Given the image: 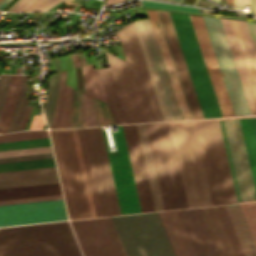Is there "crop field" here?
Instances as JSON below:
<instances>
[{
  "label": "crop field",
  "mask_w": 256,
  "mask_h": 256,
  "mask_svg": "<svg viewBox=\"0 0 256 256\" xmlns=\"http://www.w3.org/2000/svg\"><path fill=\"white\" fill-rule=\"evenodd\" d=\"M62 219H67L62 199L0 206V226Z\"/></svg>",
  "instance_id": "crop-field-13"
},
{
  "label": "crop field",
  "mask_w": 256,
  "mask_h": 256,
  "mask_svg": "<svg viewBox=\"0 0 256 256\" xmlns=\"http://www.w3.org/2000/svg\"><path fill=\"white\" fill-rule=\"evenodd\" d=\"M15 76L16 75H11V77H10L8 93H7L4 108H3V111H2V114H1V117H0V131H1V127H2V124H3V121H4L6 111L8 109L9 103H10L11 95H12V92H13V89H14Z\"/></svg>",
  "instance_id": "crop-field-43"
},
{
  "label": "crop field",
  "mask_w": 256,
  "mask_h": 256,
  "mask_svg": "<svg viewBox=\"0 0 256 256\" xmlns=\"http://www.w3.org/2000/svg\"><path fill=\"white\" fill-rule=\"evenodd\" d=\"M256 0H250V13L255 15Z\"/></svg>",
  "instance_id": "crop-field-53"
},
{
  "label": "crop field",
  "mask_w": 256,
  "mask_h": 256,
  "mask_svg": "<svg viewBox=\"0 0 256 256\" xmlns=\"http://www.w3.org/2000/svg\"><path fill=\"white\" fill-rule=\"evenodd\" d=\"M59 82H60V72L50 76L47 99L43 109L49 127H50L51 119H52L54 108H55L56 97L59 89Z\"/></svg>",
  "instance_id": "crop-field-25"
},
{
  "label": "crop field",
  "mask_w": 256,
  "mask_h": 256,
  "mask_svg": "<svg viewBox=\"0 0 256 256\" xmlns=\"http://www.w3.org/2000/svg\"><path fill=\"white\" fill-rule=\"evenodd\" d=\"M218 256H235L215 206L199 208Z\"/></svg>",
  "instance_id": "crop-field-18"
},
{
  "label": "crop field",
  "mask_w": 256,
  "mask_h": 256,
  "mask_svg": "<svg viewBox=\"0 0 256 256\" xmlns=\"http://www.w3.org/2000/svg\"><path fill=\"white\" fill-rule=\"evenodd\" d=\"M256 245V202L239 204ZM238 204L225 205L245 256H256V247Z\"/></svg>",
  "instance_id": "crop-field-16"
},
{
  "label": "crop field",
  "mask_w": 256,
  "mask_h": 256,
  "mask_svg": "<svg viewBox=\"0 0 256 256\" xmlns=\"http://www.w3.org/2000/svg\"><path fill=\"white\" fill-rule=\"evenodd\" d=\"M115 34L127 62L105 53L127 122L163 121L133 24Z\"/></svg>",
  "instance_id": "crop-field-3"
},
{
  "label": "crop field",
  "mask_w": 256,
  "mask_h": 256,
  "mask_svg": "<svg viewBox=\"0 0 256 256\" xmlns=\"http://www.w3.org/2000/svg\"><path fill=\"white\" fill-rule=\"evenodd\" d=\"M21 80H22V76L17 75L12 101H11L10 107L7 111L5 122H4L3 129H2L1 133L8 131V127H9V124H10V121H11V118L13 115V111H14V108H15V105H16V102L18 99L19 90H20V86H21Z\"/></svg>",
  "instance_id": "crop-field-36"
},
{
  "label": "crop field",
  "mask_w": 256,
  "mask_h": 256,
  "mask_svg": "<svg viewBox=\"0 0 256 256\" xmlns=\"http://www.w3.org/2000/svg\"><path fill=\"white\" fill-rule=\"evenodd\" d=\"M220 20H221V23H222V26H223V29H224V32H225V35H226L233 59H234L235 65H236V68H237V71H238L248 104H249V107L251 110V113L256 114V101H255V98H254V95L252 92V88H251V85H250V82H249V79H248V76H247L241 55H240V52H239V49L237 46V42H236L233 30H232L230 21L224 20V19H220Z\"/></svg>",
  "instance_id": "crop-field-20"
},
{
  "label": "crop field",
  "mask_w": 256,
  "mask_h": 256,
  "mask_svg": "<svg viewBox=\"0 0 256 256\" xmlns=\"http://www.w3.org/2000/svg\"><path fill=\"white\" fill-rule=\"evenodd\" d=\"M31 108H32L31 106H28V107H27V110H26V113H25V116H24V119H23V122H22V124H21V127H20V130H19V131H22V130L25 129L26 122H27V120H28V118H29V116H30Z\"/></svg>",
  "instance_id": "crop-field-50"
},
{
  "label": "crop field",
  "mask_w": 256,
  "mask_h": 256,
  "mask_svg": "<svg viewBox=\"0 0 256 256\" xmlns=\"http://www.w3.org/2000/svg\"><path fill=\"white\" fill-rule=\"evenodd\" d=\"M236 256H244L224 205L216 206Z\"/></svg>",
  "instance_id": "crop-field-27"
},
{
  "label": "crop field",
  "mask_w": 256,
  "mask_h": 256,
  "mask_svg": "<svg viewBox=\"0 0 256 256\" xmlns=\"http://www.w3.org/2000/svg\"><path fill=\"white\" fill-rule=\"evenodd\" d=\"M44 124L43 116H34L29 129H42Z\"/></svg>",
  "instance_id": "crop-field-48"
},
{
  "label": "crop field",
  "mask_w": 256,
  "mask_h": 256,
  "mask_svg": "<svg viewBox=\"0 0 256 256\" xmlns=\"http://www.w3.org/2000/svg\"><path fill=\"white\" fill-rule=\"evenodd\" d=\"M126 1V0H125Z\"/></svg>",
  "instance_id": "crop-field-66"
},
{
  "label": "crop field",
  "mask_w": 256,
  "mask_h": 256,
  "mask_svg": "<svg viewBox=\"0 0 256 256\" xmlns=\"http://www.w3.org/2000/svg\"><path fill=\"white\" fill-rule=\"evenodd\" d=\"M155 211L164 210L144 124L136 125Z\"/></svg>",
  "instance_id": "crop-field-21"
},
{
  "label": "crop field",
  "mask_w": 256,
  "mask_h": 256,
  "mask_svg": "<svg viewBox=\"0 0 256 256\" xmlns=\"http://www.w3.org/2000/svg\"><path fill=\"white\" fill-rule=\"evenodd\" d=\"M33 1H35V0H30L29 2H27L18 12H22L29 4H31Z\"/></svg>",
  "instance_id": "crop-field-56"
},
{
  "label": "crop field",
  "mask_w": 256,
  "mask_h": 256,
  "mask_svg": "<svg viewBox=\"0 0 256 256\" xmlns=\"http://www.w3.org/2000/svg\"><path fill=\"white\" fill-rule=\"evenodd\" d=\"M9 2H10V0H5V1L0 5V10H2Z\"/></svg>",
  "instance_id": "crop-field-57"
},
{
  "label": "crop field",
  "mask_w": 256,
  "mask_h": 256,
  "mask_svg": "<svg viewBox=\"0 0 256 256\" xmlns=\"http://www.w3.org/2000/svg\"><path fill=\"white\" fill-rule=\"evenodd\" d=\"M140 2L142 6H156V7H164V8L185 10V11H198V8H194V7H187V6H180V5H173V4L152 2V1H140Z\"/></svg>",
  "instance_id": "crop-field-39"
},
{
  "label": "crop field",
  "mask_w": 256,
  "mask_h": 256,
  "mask_svg": "<svg viewBox=\"0 0 256 256\" xmlns=\"http://www.w3.org/2000/svg\"><path fill=\"white\" fill-rule=\"evenodd\" d=\"M102 216L120 214L100 127L83 128Z\"/></svg>",
  "instance_id": "crop-field-11"
},
{
  "label": "crop field",
  "mask_w": 256,
  "mask_h": 256,
  "mask_svg": "<svg viewBox=\"0 0 256 256\" xmlns=\"http://www.w3.org/2000/svg\"><path fill=\"white\" fill-rule=\"evenodd\" d=\"M230 21H231V24H232V27H233V30H234V33H235L242 57H243V60H244L245 66H246V69H247L255 96H256V74H255L245 41H244V37H243L242 31H241L239 22L234 21V20H230Z\"/></svg>",
  "instance_id": "crop-field-24"
},
{
  "label": "crop field",
  "mask_w": 256,
  "mask_h": 256,
  "mask_svg": "<svg viewBox=\"0 0 256 256\" xmlns=\"http://www.w3.org/2000/svg\"><path fill=\"white\" fill-rule=\"evenodd\" d=\"M214 1H216V2H218V3H219V0H214Z\"/></svg>",
  "instance_id": "crop-field-65"
},
{
  "label": "crop field",
  "mask_w": 256,
  "mask_h": 256,
  "mask_svg": "<svg viewBox=\"0 0 256 256\" xmlns=\"http://www.w3.org/2000/svg\"><path fill=\"white\" fill-rule=\"evenodd\" d=\"M17 0H12L3 10L4 11H7L8 10V8L13 4V3H15Z\"/></svg>",
  "instance_id": "crop-field-58"
},
{
  "label": "crop field",
  "mask_w": 256,
  "mask_h": 256,
  "mask_svg": "<svg viewBox=\"0 0 256 256\" xmlns=\"http://www.w3.org/2000/svg\"><path fill=\"white\" fill-rule=\"evenodd\" d=\"M10 73H12V74L15 73V66H11V72Z\"/></svg>",
  "instance_id": "crop-field-63"
},
{
  "label": "crop field",
  "mask_w": 256,
  "mask_h": 256,
  "mask_svg": "<svg viewBox=\"0 0 256 256\" xmlns=\"http://www.w3.org/2000/svg\"><path fill=\"white\" fill-rule=\"evenodd\" d=\"M50 133L70 219L96 217L76 129Z\"/></svg>",
  "instance_id": "crop-field-5"
},
{
  "label": "crop field",
  "mask_w": 256,
  "mask_h": 256,
  "mask_svg": "<svg viewBox=\"0 0 256 256\" xmlns=\"http://www.w3.org/2000/svg\"><path fill=\"white\" fill-rule=\"evenodd\" d=\"M163 1H171V2H179V3L183 2V0H163Z\"/></svg>",
  "instance_id": "crop-field-61"
},
{
  "label": "crop field",
  "mask_w": 256,
  "mask_h": 256,
  "mask_svg": "<svg viewBox=\"0 0 256 256\" xmlns=\"http://www.w3.org/2000/svg\"><path fill=\"white\" fill-rule=\"evenodd\" d=\"M9 77L10 75H1L0 76V113L3 108L7 88H8V83H9Z\"/></svg>",
  "instance_id": "crop-field-44"
},
{
  "label": "crop field",
  "mask_w": 256,
  "mask_h": 256,
  "mask_svg": "<svg viewBox=\"0 0 256 256\" xmlns=\"http://www.w3.org/2000/svg\"><path fill=\"white\" fill-rule=\"evenodd\" d=\"M170 16L196 90L203 117H229L235 115L238 116L251 114L220 20L216 18L202 17L235 115L228 94L226 92L202 18L189 15L222 116L214 92L212 90L188 16L184 14L173 13H170Z\"/></svg>",
  "instance_id": "crop-field-1"
},
{
  "label": "crop field",
  "mask_w": 256,
  "mask_h": 256,
  "mask_svg": "<svg viewBox=\"0 0 256 256\" xmlns=\"http://www.w3.org/2000/svg\"><path fill=\"white\" fill-rule=\"evenodd\" d=\"M246 23H247V26L256 50V23H253V22H246Z\"/></svg>",
  "instance_id": "crop-field-49"
},
{
  "label": "crop field",
  "mask_w": 256,
  "mask_h": 256,
  "mask_svg": "<svg viewBox=\"0 0 256 256\" xmlns=\"http://www.w3.org/2000/svg\"><path fill=\"white\" fill-rule=\"evenodd\" d=\"M58 198H62V196L61 195H56V196L26 198V199L5 200V201H0V205H2V204H11V203H20V202L39 201V200H48V199H58Z\"/></svg>",
  "instance_id": "crop-field-46"
},
{
  "label": "crop field",
  "mask_w": 256,
  "mask_h": 256,
  "mask_svg": "<svg viewBox=\"0 0 256 256\" xmlns=\"http://www.w3.org/2000/svg\"><path fill=\"white\" fill-rule=\"evenodd\" d=\"M49 157H53L52 153L29 155V156H19V157H10V158H0V163H2V162H12V161H21V160H30V159L49 158Z\"/></svg>",
  "instance_id": "crop-field-45"
},
{
  "label": "crop field",
  "mask_w": 256,
  "mask_h": 256,
  "mask_svg": "<svg viewBox=\"0 0 256 256\" xmlns=\"http://www.w3.org/2000/svg\"><path fill=\"white\" fill-rule=\"evenodd\" d=\"M104 219H105L106 224H107V226H108V229H109V231H110V233H111V236H112V238H113V241H114V243H115V246H116V248H117V251H118V253H119V256H125V253H124V251H123V248H122V246H121V243H120V241H119L118 235H117V233H116V230H115V228H114V225H113V223H112L111 218H110V217H107V218H104Z\"/></svg>",
  "instance_id": "crop-field-41"
},
{
  "label": "crop field",
  "mask_w": 256,
  "mask_h": 256,
  "mask_svg": "<svg viewBox=\"0 0 256 256\" xmlns=\"http://www.w3.org/2000/svg\"><path fill=\"white\" fill-rule=\"evenodd\" d=\"M244 4H249V0H234V6L235 7H239V8L244 9Z\"/></svg>",
  "instance_id": "crop-field-51"
},
{
  "label": "crop field",
  "mask_w": 256,
  "mask_h": 256,
  "mask_svg": "<svg viewBox=\"0 0 256 256\" xmlns=\"http://www.w3.org/2000/svg\"><path fill=\"white\" fill-rule=\"evenodd\" d=\"M65 77H66V71L62 72L60 90H59L56 108H55V112H54V116H53V120H52L50 128H55V126H56L57 117H58V113H59V109H60L64 86H65Z\"/></svg>",
  "instance_id": "crop-field-40"
},
{
  "label": "crop field",
  "mask_w": 256,
  "mask_h": 256,
  "mask_svg": "<svg viewBox=\"0 0 256 256\" xmlns=\"http://www.w3.org/2000/svg\"><path fill=\"white\" fill-rule=\"evenodd\" d=\"M97 217L101 216L80 129H77Z\"/></svg>",
  "instance_id": "crop-field-37"
},
{
  "label": "crop field",
  "mask_w": 256,
  "mask_h": 256,
  "mask_svg": "<svg viewBox=\"0 0 256 256\" xmlns=\"http://www.w3.org/2000/svg\"><path fill=\"white\" fill-rule=\"evenodd\" d=\"M27 76H23L22 86L20 90L19 99L15 108V112L9 127V131H16L19 129L21 121L23 119L25 107L29 98L23 97Z\"/></svg>",
  "instance_id": "crop-field-28"
},
{
  "label": "crop field",
  "mask_w": 256,
  "mask_h": 256,
  "mask_svg": "<svg viewBox=\"0 0 256 256\" xmlns=\"http://www.w3.org/2000/svg\"><path fill=\"white\" fill-rule=\"evenodd\" d=\"M100 90L107 102L110 112L116 124L127 123L109 68H102L94 70Z\"/></svg>",
  "instance_id": "crop-field-19"
},
{
  "label": "crop field",
  "mask_w": 256,
  "mask_h": 256,
  "mask_svg": "<svg viewBox=\"0 0 256 256\" xmlns=\"http://www.w3.org/2000/svg\"><path fill=\"white\" fill-rule=\"evenodd\" d=\"M53 1L54 0H36L34 3L28 6L23 12L40 11Z\"/></svg>",
  "instance_id": "crop-field-47"
},
{
  "label": "crop field",
  "mask_w": 256,
  "mask_h": 256,
  "mask_svg": "<svg viewBox=\"0 0 256 256\" xmlns=\"http://www.w3.org/2000/svg\"><path fill=\"white\" fill-rule=\"evenodd\" d=\"M61 0H57L56 2H54V3H52V4H50V5H48L47 7H45L43 10H41V11H47L50 7H52L54 4H56V3H58V2H60Z\"/></svg>",
  "instance_id": "crop-field-55"
},
{
  "label": "crop field",
  "mask_w": 256,
  "mask_h": 256,
  "mask_svg": "<svg viewBox=\"0 0 256 256\" xmlns=\"http://www.w3.org/2000/svg\"><path fill=\"white\" fill-rule=\"evenodd\" d=\"M82 70H83L86 93L104 101L103 96L99 90L92 65L90 64L88 66H83Z\"/></svg>",
  "instance_id": "crop-field-30"
},
{
  "label": "crop field",
  "mask_w": 256,
  "mask_h": 256,
  "mask_svg": "<svg viewBox=\"0 0 256 256\" xmlns=\"http://www.w3.org/2000/svg\"><path fill=\"white\" fill-rule=\"evenodd\" d=\"M0 256H81L67 221L0 228Z\"/></svg>",
  "instance_id": "crop-field-4"
},
{
  "label": "crop field",
  "mask_w": 256,
  "mask_h": 256,
  "mask_svg": "<svg viewBox=\"0 0 256 256\" xmlns=\"http://www.w3.org/2000/svg\"><path fill=\"white\" fill-rule=\"evenodd\" d=\"M51 166H55L53 158L12 162V163H2V164H0V172L41 168V167H51Z\"/></svg>",
  "instance_id": "crop-field-26"
},
{
  "label": "crop field",
  "mask_w": 256,
  "mask_h": 256,
  "mask_svg": "<svg viewBox=\"0 0 256 256\" xmlns=\"http://www.w3.org/2000/svg\"><path fill=\"white\" fill-rule=\"evenodd\" d=\"M35 108H36V107H33V109H32V113H31V116H30V118H29V121H28V124H27V126H26V129L28 128V125H29L30 120H31V118H32V116H33V113H34ZM26 129H25V130H26Z\"/></svg>",
  "instance_id": "crop-field-59"
},
{
  "label": "crop field",
  "mask_w": 256,
  "mask_h": 256,
  "mask_svg": "<svg viewBox=\"0 0 256 256\" xmlns=\"http://www.w3.org/2000/svg\"><path fill=\"white\" fill-rule=\"evenodd\" d=\"M226 3L233 6V0H226Z\"/></svg>",
  "instance_id": "crop-field-62"
},
{
  "label": "crop field",
  "mask_w": 256,
  "mask_h": 256,
  "mask_svg": "<svg viewBox=\"0 0 256 256\" xmlns=\"http://www.w3.org/2000/svg\"><path fill=\"white\" fill-rule=\"evenodd\" d=\"M72 88L66 85L56 128L69 127Z\"/></svg>",
  "instance_id": "crop-field-29"
},
{
  "label": "crop field",
  "mask_w": 256,
  "mask_h": 256,
  "mask_svg": "<svg viewBox=\"0 0 256 256\" xmlns=\"http://www.w3.org/2000/svg\"><path fill=\"white\" fill-rule=\"evenodd\" d=\"M48 152H52L50 146L0 151V157L29 155V154H38V153H48Z\"/></svg>",
  "instance_id": "crop-field-38"
},
{
  "label": "crop field",
  "mask_w": 256,
  "mask_h": 256,
  "mask_svg": "<svg viewBox=\"0 0 256 256\" xmlns=\"http://www.w3.org/2000/svg\"><path fill=\"white\" fill-rule=\"evenodd\" d=\"M81 101L83 126L97 125L91 97L81 92Z\"/></svg>",
  "instance_id": "crop-field-32"
},
{
  "label": "crop field",
  "mask_w": 256,
  "mask_h": 256,
  "mask_svg": "<svg viewBox=\"0 0 256 256\" xmlns=\"http://www.w3.org/2000/svg\"><path fill=\"white\" fill-rule=\"evenodd\" d=\"M123 0H107L106 5H110V4H114V3H118V2H122Z\"/></svg>",
  "instance_id": "crop-field-54"
},
{
  "label": "crop field",
  "mask_w": 256,
  "mask_h": 256,
  "mask_svg": "<svg viewBox=\"0 0 256 256\" xmlns=\"http://www.w3.org/2000/svg\"><path fill=\"white\" fill-rule=\"evenodd\" d=\"M197 256H217L198 208L179 210ZM178 210L158 212L176 256H196Z\"/></svg>",
  "instance_id": "crop-field-10"
},
{
  "label": "crop field",
  "mask_w": 256,
  "mask_h": 256,
  "mask_svg": "<svg viewBox=\"0 0 256 256\" xmlns=\"http://www.w3.org/2000/svg\"><path fill=\"white\" fill-rule=\"evenodd\" d=\"M45 145H49L47 138L11 141V142H0V150L35 147V146H45Z\"/></svg>",
  "instance_id": "crop-field-33"
},
{
  "label": "crop field",
  "mask_w": 256,
  "mask_h": 256,
  "mask_svg": "<svg viewBox=\"0 0 256 256\" xmlns=\"http://www.w3.org/2000/svg\"><path fill=\"white\" fill-rule=\"evenodd\" d=\"M239 22H240V25H241V28H242V31H243V34H244L251 58H252V61H253L254 67H255V70H256V53H255L248 29H247L246 23L242 22V21H239Z\"/></svg>",
  "instance_id": "crop-field-42"
},
{
  "label": "crop field",
  "mask_w": 256,
  "mask_h": 256,
  "mask_svg": "<svg viewBox=\"0 0 256 256\" xmlns=\"http://www.w3.org/2000/svg\"><path fill=\"white\" fill-rule=\"evenodd\" d=\"M113 137L117 151L109 152L103 133L121 214L141 212L121 125ZM102 129V128H101Z\"/></svg>",
  "instance_id": "crop-field-12"
},
{
  "label": "crop field",
  "mask_w": 256,
  "mask_h": 256,
  "mask_svg": "<svg viewBox=\"0 0 256 256\" xmlns=\"http://www.w3.org/2000/svg\"><path fill=\"white\" fill-rule=\"evenodd\" d=\"M194 123L213 203L256 201V116Z\"/></svg>",
  "instance_id": "crop-field-2"
},
{
  "label": "crop field",
  "mask_w": 256,
  "mask_h": 256,
  "mask_svg": "<svg viewBox=\"0 0 256 256\" xmlns=\"http://www.w3.org/2000/svg\"><path fill=\"white\" fill-rule=\"evenodd\" d=\"M133 23H134V26H135V29H136V32H137V35H138V38H139V41H140V45H141V48H142V51H143V54H144V57H145V60H146V63H147L146 67H147V70H148V73H149V76H150V79H151V83H152V86H153V89H154V92H155V95H156L159 107H160V111H161L163 120L167 121L169 119H168V116H167V113H166V110H165L162 98L160 96V93H159V90H158V87H157V84H156V81H155V78H154V75H153V72H152L149 60H148V57H147V54H146V51H145V48L143 46V43H142L139 31H138L136 22L133 21Z\"/></svg>",
  "instance_id": "crop-field-31"
},
{
  "label": "crop field",
  "mask_w": 256,
  "mask_h": 256,
  "mask_svg": "<svg viewBox=\"0 0 256 256\" xmlns=\"http://www.w3.org/2000/svg\"><path fill=\"white\" fill-rule=\"evenodd\" d=\"M170 120L182 119L148 19L136 20Z\"/></svg>",
  "instance_id": "crop-field-15"
},
{
  "label": "crop field",
  "mask_w": 256,
  "mask_h": 256,
  "mask_svg": "<svg viewBox=\"0 0 256 256\" xmlns=\"http://www.w3.org/2000/svg\"><path fill=\"white\" fill-rule=\"evenodd\" d=\"M169 124L188 207L212 205L193 121Z\"/></svg>",
  "instance_id": "crop-field-7"
},
{
  "label": "crop field",
  "mask_w": 256,
  "mask_h": 256,
  "mask_svg": "<svg viewBox=\"0 0 256 256\" xmlns=\"http://www.w3.org/2000/svg\"><path fill=\"white\" fill-rule=\"evenodd\" d=\"M59 182L55 167L0 173V188Z\"/></svg>",
  "instance_id": "crop-field-17"
},
{
  "label": "crop field",
  "mask_w": 256,
  "mask_h": 256,
  "mask_svg": "<svg viewBox=\"0 0 256 256\" xmlns=\"http://www.w3.org/2000/svg\"><path fill=\"white\" fill-rule=\"evenodd\" d=\"M70 223L84 256H118L103 218Z\"/></svg>",
  "instance_id": "crop-field-14"
},
{
  "label": "crop field",
  "mask_w": 256,
  "mask_h": 256,
  "mask_svg": "<svg viewBox=\"0 0 256 256\" xmlns=\"http://www.w3.org/2000/svg\"><path fill=\"white\" fill-rule=\"evenodd\" d=\"M146 11H147V14H148V17H149V20L158 44L164 65L166 67L182 118L183 119L203 118L168 12L156 11L173 63H174V67H175V70H176V73H177V76H178V79L187 103L191 118H190L179 82L173 67V63H172V60H171L162 30L160 27L156 12L153 10H146Z\"/></svg>",
  "instance_id": "crop-field-6"
},
{
  "label": "crop field",
  "mask_w": 256,
  "mask_h": 256,
  "mask_svg": "<svg viewBox=\"0 0 256 256\" xmlns=\"http://www.w3.org/2000/svg\"><path fill=\"white\" fill-rule=\"evenodd\" d=\"M71 56H72L73 63H74L75 67L82 66L81 61H80L79 56H78L77 53L76 54H72Z\"/></svg>",
  "instance_id": "crop-field-52"
},
{
  "label": "crop field",
  "mask_w": 256,
  "mask_h": 256,
  "mask_svg": "<svg viewBox=\"0 0 256 256\" xmlns=\"http://www.w3.org/2000/svg\"><path fill=\"white\" fill-rule=\"evenodd\" d=\"M61 194L59 183L0 189V200Z\"/></svg>",
  "instance_id": "crop-field-22"
},
{
  "label": "crop field",
  "mask_w": 256,
  "mask_h": 256,
  "mask_svg": "<svg viewBox=\"0 0 256 256\" xmlns=\"http://www.w3.org/2000/svg\"><path fill=\"white\" fill-rule=\"evenodd\" d=\"M92 99L98 125L115 124L107 108V105L93 97Z\"/></svg>",
  "instance_id": "crop-field-34"
},
{
  "label": "crop field",
  "mask_w": 256,
  "mask_h": 256,
  "mask_svg": "<svg viewBox=\"0 0 256 256\" xmlns=\"http://www.w3.org/2000/svg\"><path fill=\"white\" fill-rule=\"evenodd\" d=\"M77 89L73 88L72 111L70 127L82 126L80 91L85 93L81 67L75 68Z\"/></svg>",
  "instance_id": "crop-field-23"
},
{
  "label": "crop field",
  "mask_w": 256,
  "mask_h": 256,
  "mask_svg": "<svg viewBox=\"0 0 256 256\" xmlns=\"http://www.w3.org/2000/svg\"><path fill=\"white\" fill-rule=\"evenodd\" d=\"M145 126L165 210L187 207L168 122Z\"/></svg>",
  "instance_id": "crop-field-9"
},
{
  "label": "crop field",
  "mask_w": 256,
  "mask_h": 256,
  "mask_svg": "<svg viewBox=\"0 0 256 256\" xmlns=\"http://www.w3.org/2000/svg\"><path fill=\"white\" fill-rule=\"evenodd\" d=\"M28 0H24L16 9H14L13 11L17 12L19 10V8Z\"/></svg>",
  "instance_id": "crop-field-60"
},
{
  "label": "crop field",
  "mask_w": 256,
  "mask_h": 256,
  "mask_svg": "<svg viewBox=\"0 0 256 256\" xmlns=\"http://www.w3.org/2000/svg\"><path fill=\"white\" fill-rule=\"evenodd\" d=\"M21 67H17V73H20Z\"/></svg>",
  "instance_id": "crop-field-64"
},
{
  "label": "crop field",
  "mask_w": 256,
  "mask_h": 256,
  "mask_svg": "<svg viewBox=\"0 0 256 256\" xmlns=\"http://www.w3.org/2000/svg\"><path fill=\"white\" fill-rule=\"evenodd\" d=\"M42 137H48L47 131L36 130V131H24V132L3 134V135H0V141L42 138Z\"/></svg>",
  "instance_id": "crop-field-35"
},
{
  "label": "crop field",
  "mask_w": 256,
  "mask_h": 256,
  "mask_svg": "<svg viewBox=\"0 0 256 256\" xmlns=\"http://www.w3.org/2000/svg\"><path fill=\"white\" fill-rule=\"evenodd\" d=\"M111 218L127 256H174L157 212Z\"/></svg>",
  "instance_id": "crop-field-8"
}]
</instances>
